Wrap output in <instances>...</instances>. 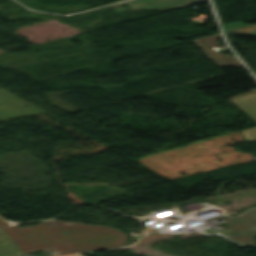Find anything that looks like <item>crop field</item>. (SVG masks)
<instances>
[{"instance_id": "obj_1", "label": "crop field", "mask_w": 256, "mask_h": 256, "mask_svg": "<svg viewBox=\"0 0 256 256\" xmlns=\"http://www.w3.org/2000/svg\"><path fill=\"white\" fill-rule=\"evenodd\" d=\"M23 252L55 247L60 254L123 245L126 235L109 227L70 223L50 227L46 221L27 228L4 227ZM4 231V232H5Z\"/></svg>"}, {"instance_id": "obj_2", "label": "crop field", "mask_w": 256, "mask_h": 256, "mask_svg": "<svg viewBox=\"0 0 256 256\" xmlns=\"http://www.w3.org/2000/svg\"><path fill=\"white\" fill-rule=\"evenodd\" d=\"M218 37H221L220 33L209 36L207 38L195 39L193 42L201 47L205 55L219 67L242 66V64L235 57L221 54L212 48L213 46L220 44V42L217 40Z\"/></svg>"}, {"instance_id": "obj_3", "label": "crop field", "mask_w": 256, "mask_h": 256, "mask_svg": "<svg viewBox=\"0 0 256 256\" xmlns=\"http://www.w3.org/2000/svg\"><path fill=\"white\" fill-rule=\"evenodd\" d=\"M224 225L228 228L225 234L227 238L231 239L236 243L250 246L245 229L255 228V226L248 223L238 215L233 217L229 222L225 223Z\"/></svg>"}, {"instance_id": "obj_4", "label": "crop field", "mask_w": 256, "mask_h": 256, "mask_svg": "<svg viewBox=\"0 0 256 256\" xmlns=\"http://www.w3.org/2000/svg\"><path fill=\"white\" fill-rule=\"evenodd\" d=\"M151 1H157V0H130V1H126L125 3L128 4L132 8V10H136V9H153V8H165V7L177 6V5L183 4L186 0H171V1H164V2L135 6V4H138V3L151 2Z\"/></svg>"}, {"instance_id": "obj_5", "label": "crop field", "mask_w": 256, "mask_h": 256, "mask_svg": "<svg viewBox=\"0 0 256 256\" xmlns=\"http://www.w3.org/2000/svg\"><path fill=\"white\" fill-rule=\"evenodd\" d=\"M233 101L256 120V93L235 98Z\"/></svg>"}, {"instance_id": "obj_6", "label": "crop field", "mask_w": 256, "mask_h": 256, "mask_svg": "<svg viewBox=\"0 0 256 256\" xmlns=\"http://www.w3.org/2000/svg\"><path fill=\"white\" fill-rule=\"evenodd\" d=\"M0 256H22L21 252L0 230Z\"/></svg>"}, {"instance_id": "obj_7", "label": "crop field", "mask_w": 256, "mask_h": 256, "mask_svg": "<svg viewBox=\"0 0 256 256\" xmlns=\"http://www.w3.org/2000/svg\"><path fill=\"white\" fill-rule=\"evenodd\" d=\"M238 215L243 217L248 222L256 225V207L248 208Z\"/></svg>"}, {"instance_id": "obj_8", "label": "crop field", "mask_w": 256, "mask_h": 256, "mask_svg": "<svg viewBox=\"0 0 256 256\" xmlns=\"http://www.w3.org/2000/svg\"><path fill=\"white\" fill-rule=\"evenodd\" d=\"M224 33H241V34H249V35H256V24L251 26H246L230 31H226Z\"/></svg>"}, {"instance_id": "obj_9", "label": "crop field", "mask_w": 256, "mask_h": 256, "mask_svg": "<svg viewBox=\"0 0 256 256\" xmlns=\"http://www.w3.org/2000/svg\"><path fill=\"white\" fill-rule=\"evenodd\" d=\"M242 132L246 141L256 140V127Z\"/></svg>"}, {"instance_id": "obj_10", "label": "crop field", "mask_w": 256, "mask_h": 256, "mask_svg": "<svg viewBox=\"0 0 256 256\" xmlns=\"http://www.w3.org/2000/svg\"><path fill=\"white\" fill-rule=\"evenodd\" d=\"M247 235L250 241V245L256 247L255 239H256V229L246 230Z\"/></svg>"}, {"instance_id": "obj_11", "label": "crop field", "mask_w": 256, "mask_h": 256, "mask_svg": "<svg viewBox=\"0 0 256 256\" xmlns=\"http://www.w3.org/2000/svg\"><path fill=\"white\" fill-rule=\"evenodd\" d=\"M242 26H246V24L239 22V23H234V24L223 25L222 28L224 31H226V30H230V29H234V28H238V27H242Z\"/></svg>"}, {"instance_id": "obj_12", "label": "crop field", "mask_w": 256, "mask_h": 256, "mask_svg": "<svg viewBox=\"0 0 256 256\" xmlns=\"http://www.w3.org/2000/svg\"><path fill=\"white\" fill-rule=\"evenodd\" d=\"M2 225H6V223H4L3 221L0 220V226Z\"/></svg>"}, {"instance_id": "obj_13", "label": "crop field", "mask_w": 256, "mask_h": 256, "mask_svg": "<svg viewBox=\"0 0 256 256\" xmlns=\"http://www.w3.org/2000/svg\"><path fill=\"white\" fill-rule=\"evenodd\" d=\"M63 256H78V255L70 254V255H63Z\"/></svg>"}, {"instance_id": "obj_14", "label": "crop field", "mask_w": 256, "mask_h": 256, "mask_svg": "<svg viewBox=\"0 0 256 256\" xmlns=\"http://www.w3.org/2000/svg\"><path fill=\"white\" fill-rule=\"evenodd\" d=\"M254 74L256 75V72Z\"/></svg>"}]
</instances>
